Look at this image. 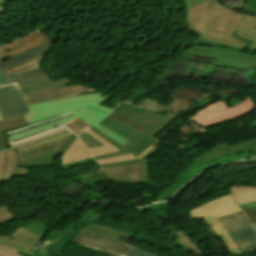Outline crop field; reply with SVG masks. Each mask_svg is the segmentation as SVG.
I'll return each instance as SVG.
<instances>
[{"mask_svg": "<svg viewBox=\"0 0 256 256\" xmlns=\"http://www.w3.org/2000/svg\"><path fill=\"white\" fill-rule=\"evenodd\" d=\"M184 23L197 35L194 44L244 51L249 45L232 35L245 14L226 8L215 0L184 9Z\"/></svg>", "mask_w": 256, "mask_h": 256, "instance_id": "8a807250", "label": "crop field"}, {"mask_svg": "<svg viewBox=\"0 0 256 256\" xmlns=\"http://www.w3.org/2000/svg\"><path fill=\"white\" fill-rule=\"evenodd\" d=\"M109 97L110 96L101 97V93L99 92L48 103L30 105L28 108L31 114L26 115L30 124L45 118L63 114L68 111L74 113L75 115L58 123L10 137L9 140L12 141L14 139L53 127L76 116L80 117L81 119L93 126L94 124L98 123L104 116H106L110 111H112V109L108 107H102L98 105Z\"/></svg>", "mask_w": 256, "mask_h": 256, "instance_id": "ac0d7876", "label": "crop field"}, {"mask_svg": "<svg viewBox=\"0 0 256 256\" xmlns=\"http://www.w3.org/2000/svg\"><path fill=\"white\" fill-rule=\"evenodd\" d=\"M240 211L232 194H226L210 200L189 211L192 218H203L206 220L215 232L222 238L232 256L241 254L229 235L217 221V217H221L233 212Z\"/></svg>", "mask_w": 256, "mask_h": 256, "instance_id": "34b2d1b8", "label": "crop field"}, {"mask_svg": "<svg viewBox=\"0 0 256 256\" xmlns=\"http://www.w3.org/2000/svg\"><path fill=\"white\" fill-rule=\"evenodd\" d=\"M102 217L94 210L90 209L84 213L78 220L67 225L60 232L57 230H49L46 237L42 241L45 244L41 248H37L32 256H58L64 246L72 240L85 227ZM30 255V256H31Z\"/></svg>", "mask_w": 256, "mask_h": 256, "instance_id": "412701ff", "label": "crop field"}, {"mask_svg": "<svg viewBox=\"0 0 256 256\" xmlns=\"http://www.w3.org/2000/svg\"><path fill=\"white\" fill-rule=\"evenodd\" d=\"M102 125L107 127L108 129L114 131L115 133L123 136L124 138L130 140L131 142L128 143L126 146H121L115 141L111 140L95 128H90L93 132H95L97 135H99L101 138L112 144L114 147L119 149L120 151L102 155V156H96L95 159H103V158H108V157H113V156H118V155H123V154H129L133 153L135 156L138 155L140 152H142L144 149L149 147L151 144H153L156 140L145 136L113 119H110L106 117L103 119L101 122Z\"/></svg>", "mask_w": 256, "mask_h": 256, "instance_id": "f4fd0767", "label": "crop field"}, {"mask_svg": "<svg viewBox=\"0 0 256 256\" xmlns=\"http://www.w3.org/2000/svg\"><path fill=\"white\" fill-rule=\"evenodd\" d=\"M187 54L216 60L213 65L217 67L242 69L247 71L256 68V56L233 49L193 46Z\"/></svg>", "mask_w": 256, "mask_h": 256, "instance_id": "dd49c442", "label": "crop field"}, {"mask_svg": "<svg viewBox=\"0 0 256 256\" xmlns=\"http://www.w3.org/2000/svg\"><path fill=\"white\" fill-rule=\"evenodd\" d=\"M254 102L251 96L245 101L229 108L222 100L209 105L198 112L191 119L203 125L204 127L228 122L244 114L251 112L254 108Z\"/></svg>", "mask_w": 256, "mask_h": 256, "instance_id": "e52e79f7", "label": "crop field"}, {"mask_svg": "<svg viewBox=\"0 0 256 256\" xmlns=\"http://www.w3.org/2000/svg\"><path fill=\"white\" fill-rule=\"evenodd\" d=\"M242 254L256 251V230L242 211L218 218Z\"/></svg>", "mask_w": 256, "mask_h": 256, "instance_id": "d8731c3e", "label": "crop field"}, {"mask_svg": "<svg viewBox=\"0 0 256 256\" xmlns=\"http://www.w3.org/2000/svg\"><path fill=\"white\" fill-rule=\"evenodd\" d=\"M251 151H256V139L234 146H229L226 142H224L215 148L212 147L210 148L209 152L194 159L192 164L175 179L174 183L171 185L170 188H174L177 185L179 179H181V177L186 175L194 167L200 164L212 162L224 156H231Z\"/></svg>", "mask_w": 256, "mask_h": 256, "instance_id": "5a996713", "label": "crop field"}, {"mask_svg": "<svg viewBox=\"0 0 256 256\" xmlns=\"http://www.w3.org/2000/svg\"><path fill=\"white\" fill-rule=\"evenodd\" d=\"M72 242L113 256H127L132 247L116 240L81 232Z\"/></svg>", "mask_w": 256, "mask_h": 256, "instance_id": "3316defc", "label": "crop field"}, {"mask_svg": "<svg viewBox=\"0 0 256 256\" xmlns=\"http://www.w3.org/2000/svg\"><path fill=\"white\" fill-rule=\"evenodd\" d=\"M0 113L3 119L29 113L15 84L0 88Z\"/></svg>", "mask_w": 256, "mask_h": 256, "instance_id": "28ad6ade", "label": "crop field"}, {"mask_svg": "<svg viewBox=\"0 0 256 256\" xmlns=\"http://www.w3.org/2000/svg\"><path fill=\"white\" fill-rule=\"evenodd\" d=\"M94 92L99 91L81 85H69L57 89L34 93L24 97L27 101V104L30 105Z\"/></svg>", "mask_w": 256, "mask_h": 256, "instance_id": "d1516ede", "label": "crop field"}, {"mask_svg": "<svg viewBox=\"0 0 256 256\" xmlns=\"http://www.w3.org/2000/svg\"><path fill=\"white\" fill-rule=\"evenodd\" d=\"M51 41L52 40H50L48 37L40 32L31 34L27 37H24L0 48V61L6 60L31 48L37 47L45 43H49Z\"/></svg>", "mask_w": 256, "mask_h": 256, "instance_id": "22f410ed", "label": "crop field"}, {"mask_svg": "<svg viewBox=\"0 0 256 256\" xmlns=\"http://www.w3.org/2000/svg\"><path fill=\"white\" fill-rule=\"evenodd\" d=\"M40 235L32 233L22 227L13 232L10 236H1L0 244L30 254L40 239Z\"/></svg>", "mask_w": 256, "mask_h": 256, "instance_id": "cbeb9de0", "label": "crop field"}, {"mask_svg": "<svg viewBox=\"0 0 256 256\" xmlns=\"http://www.w3.org/2000/svg\"><path fill=\"white\" fill-rule=\"evenodd\" d=\"M15 150L0 152V182L10 184L14 176L26 177L29 168H17Z\"/></svg>", "mask_w": 256, "mask_h": 256, "instance_id": "5142ce71", "label": "crop field"}, {"mask_svg": "<svg viewBox=\"0 0 256 256\" xmlns=\"http://www.w3.org/2000/svg\"><path fill=\"white\" fill-rule=\"evenodd\" d=\"M119 106L124 107L126 109H129L131 111L137 112L139 114H142L144 116H147L149 118H152V119L156 120L153 124H151V123H149L147 121H144V120H142L140 118H137V117H135V116H133L131 114H128V113H126L124 111H121V110H119L117 108H115L113 110V112H115V113H117L119 115H122V116H124V117H126L128 119H131V120H133V121H135L137 123H140V124L148 127L145 131H143V133H146V134L151 132L155 127H157L161 122H163L167 117H169V115H164V114H160V113H156V112H151L149 110H145V109H141L139 107L132 106V105H130L128 103H121V104H119Z\"/></svg>", "mask_w": 256, "mask_h": 256, "instance_id": "d9b57169", "label": "crop field"}, {"mask_svg": "<svg viewBox=\"0 0 256 256\" xmlns=\"http://www.w3.org/2000/svg\"><path fill=\"white\" fill-rule=\"evenodd\" d=\"M51 43L39 46V47L34 48V49H31V50H29V51H27V52H25V53H23L19 56H16L14 58H11V59H8L6 61L1 62L0 63V71L2 72L4 77L7 79L9 84L14 83V80L12 79V77L9 75V73L6 71L5 68H8V67L13 66L15 64H18L20 62H23L27 59H30L32 57H35L37 55H40L42 53L47 52L48 47Z\"/></svg>", "mask_w": 256, "mask_h": 256, "instance_id": "733c2abd", "label": "crop field"}, {"mask_svg": "<svg viewBox=\"0 0 256 256\" xmlns=\"http://www.w3.org/2000/svg\"><path fill=\"white\" fill-rule=\"evenodd\" d=\"M13 79L18 84L19 88L41 83L50 80L43 69L40 67L17 74Z\"/></svg>", "mask_w": 256, "mask_h": 256, "instance_id": "4a817a6b", "label": "crop field"}, {"mask_svg": "<svg viewBox=\"0 0 256 256\" xmlns=\"http://www.w3.org/2000/svg\"><path fill=\"white\" fill-rule=\"evenodd\" d=\"M88 157L92 156L90 155L87 146L81 140L76 138L60 159L62 160L61 164H65Z\"/></svg>", "mask_w": 256, "mask_h": 256, "instance_id": "bc2a9ffb", "label": "crop field"}, {"mask_svg": "<svg viewBox=\"0 0 256 256\" xmlns=\"http://www.w3.org/2000/svg\"><path fill=\"white\" fill-rule=\"evenodd\" d=\"M103 169L111 179L139 178V164L106 167Z\"/></svg>", "mask_w": 256, "mask_h": 256, "instance_id": "214f88e0", "label": "crop field"}, {"mask_svg": "<svg viewBox=\"0 0 256 256\" xmlns=\"http://www.w3.org/2000/svg\"><path fill=\"white\" fill-rule=\"evenodd\" d=\"M211 94H213V93L203 94L202 98L208 97ZM170 98L174 100L172 102V104L168 107L165 106V107L161 108L159 111L166 113L167 111H169V108H173V111L175 113H171V115H177V116L183 114V112H182L183 110L187 109L189 106H193V105L197 104V102H199V100H201V98L190 99V97L188 100H186V99L183 100L181 97L175 98L173 95Z\"/></svg>", "mask_w": 256, "mask_h": 256, "instance_id": "92a150f3", "label": "crop field"}, {"mask_svg": "<svg viewBox=\"0 0 256 256\" xmlns=\"http://www.w3.org/2000/svg\"><path fill=\"white\" fill-rule=\"evenodd\" d=\"M231 192L239 205L256 201V187H233Z\"/></svg>", "mask_w": 256, "mask_h": 256, "instance_id": "dafd665d", "label": "crop field"}, {"mask_svg": "<svg viewBox=\"0 0 256 256\" xmlns=\"http://www.w3.org/2000/svg\"><path fill=\"white\" fill-rule=\"evenodd\" d=\"M44 56H45V54H42L40 56H37L30 60H27L23 63H20L18 65L8 68L7 71L10 73L11 76H13L17 73L38 67V66H40L41 62L43 61Z\"/></svg>", "mask_w": 256, "mask_h": 256, "instance_id": "00972430", "label": "crop field"}, {"mask_svg": "<svg viewBox=\"0 0 256 256\" xmlns=\"http://www.w3.org/2000/svg\"><path fill=\"white\" fill-rule=\"evenodd\" d=\"M69 84H71V83L65 79L54 82V83H52V81H47V82H44V83H41L38 85L22 88L21 91H22L23 95H26V94H30V93H34V92H38V91H42V90H47V89H51V88H57V87L69 85Z\"/></svg>", "mask_w": 256, "mask_h": 256, "instance_id": "a9b5d70f", "label": "crop field"}, {"mask_svg": "<svg viewBox=\"0 0 256 256\" xmlns=\"http://www.w3.org/2000/svg\"><path fill=\"white\" fill-rule=\"evenodd\" d=\"M71 115H73V114L68 112L66 114H63V115H60V116H57V117H54V118L42 120L40 122L31 124V126H29V127L18 129V130H15V131H12V132H9V133H6V134H7V137H10V136H13V135H17V134H20V133H23V132H27V131H30V130H33V129H36V128H39V127H42V126H45V125H48V124H51V123L58 122V121L66 118V117L71 116Z\"/></svg>", "mask_w": 256, "mask_h": 256, "instance_id": "4177f3b9", "label": "crop field"}, {"mask_svg": "<svg viewBox=\"0 0 256 256\" xmlns=\"http://www.w3.org/2000/svg\"><path fill=\"white\" fill-rule=\"evenodd\" d=\"M65 141H66V139L56 141L53 143H49V144L39 146L36 148L19 151V152H17V155H18V157H21V156H26V155H30V154L45 152V151L58 150Z\"/></svg>", "mask_w": 256, "mask_h": 256, "instance_id": "730fd06b", "label": "crop field"}, {"mask_svg": "<svg viewBox=\"0 0 256 256\" xmlns=\"http://www.w3.org/2000/svg\"><path fill=\"white\" fill-rule=\"evenodd\" d=\"M28 122L24 115L8 118L0 121V131L10 130L15 127L27 125Z\"/></svg>", "mask_w": 256, "mask_h": 256, "instance_id": "eef30255", "label": "crop field"}, {"mask_svg": "<svg viewBox=\"0 0 256 256\" xmlns=\"http://www.w3.org/2000/svg\"><path fill=\"white\" fill-rule=\"evenodd\" d=\"M66 131H69V129L64 127V128H61V129L49 132L47 134L41 135L39 137L33 138L31 140H28V141H25V142H22V143H19V144H16V145H11L10 149H17V148H21V147H24V146H27V145H30V144H34V143H36L38 141H42V140H44L46 138L53 137V136H56L58 134H62L64 132H66Z\"/></svg>", "mask_w": 256, "mask_h": 256, "instance_id": "ae1a2a85", "label": "crop field"}, {"mask_svg": "<svg viewBox=\"0 0 256 256\" xmlns=\"http://www.w3.org/2000/svg\"><path fill=\"white\" fill-rule=\"evenodd\" d=\"M86 132L89 133L95 139H97L99 142H101L102 144L105 145V146L95 147V148L89 149L93 156L102 155V154L110 153V152H113V151H118L116 148H114L112 145H110L109 143L102 140L100 137H98L96 134H94L89 129Z\"/></svg>", "mask_w": 256, "mask_h": 256, "instance_id": "d3111659", "label": "crop field"}, {"mask_svg": "<svg viewBox=\"0 0 256 256\" xmlns=\"http://www.w3.org/2000/svg\"><path fill=\"white\" fill-rule=\"evenodd\" d=\"M63 125H67L76 135L85 131L89 127V124L81 120L80 118L76 117L72 120L62 123Z\"/></svg>", "mask_w": 256, "mask_h": 256, "instance_id": "750c4746", "label": "crop field"}, {"mask_svg": "<svg viewBox=\"0 0 256 256\" xmlns=\"http://www.w3.org/2000/svg\"><path fill=\"white\" fill-rule=\"evenodd\" d=\"M148 172H149V165H148V161H146L142 165H140V179L113 180V181L121 184L145 182L148 178Z\"/></svg>", "mask_w": 256, "mask_h": 256, "instance_id": "bd1437ed", "label": "crop field"}, {"mask_svg": "<svg viewBox=\"0 0 256 256\" xmlns=\"http://www.w3.org/2000/svg\"><path fill=\"white\" fill-rule=\"evenodd\" d=\"M160 144L161 143L156 145L153 149H151L148 153H146L144 156H142L138 160L134 159V160H128V161H124V162H120V163H114V164H102L100 166L105 167V166L128 165V164H136V163L142 164L144 161H146L148 158H150L159 149Z\"/></svg>", "mask_w": 256, "mask_h": 256, "instance_id": "1d83c4d3", "label": "crop field"}, {"mask_svg": "<svg viewBox=\"0 0 256 256\" xmlns=\"http://www.w3.org/2000/svg\"><path fill=\"white\" fill-rule=\"evenodd\" d=\"M239 29L256 34V17L247 14L239 26Z\"/></svg>", "mask_w": 256, "mask_h": 256, "instance_id": "120bbe31", "label": "crop field"}, {"mask_svg": "<svg viewBox=\"0 0 256 256\" xmlns=\"http://www.w3.org/2000/svg\"><path fill=\"white\" fill-rule=\"evenodd\" d=\"M56 151L52 152H46V153H40V154H35L27 157H21L18 158L19 162H32V161H39V160H47V159H52Z\"/></svg>", "mask_w": 256, "mask_h": 256, "instance_id": "d32e631a", "label": "crop field"}, {"mask_svg": "<svg viewBox=\"0 0 256 256\" xmlns=\"http://www.w3.org/2000/svg\"><path fill=\"white\" fill-rule=\"evenodd\" d=\"M94 127L123 146L126 145L128 142H130V141L124 139L123 137L115 134L114 132L108 130L107 128H105L104 126H102L99 123L97 125H95Z\"/></svg>", "mask_w": 256, "mask_h": 256, "instance_id": "5866460e", "label": "crop field"}, {"mask_svg": "<svg viewBox=\"0 0 256 256\" xmlns=\"http://www.w3.org/2000/svg\"><path fill=\"white\" fill-rule=\"evenodd\" d=\"M84 231H85V232H89V233H93V234H97V235H101V236H105V237H109V238H112V239L119 240V239H117V238L110 237V236H108V235L100 234V233H97V232L88 231V230H84ZM119 241H121V240H119ZM122 242H123V241H122ZM124 243H126V242H124ZM127 244H129V243H127ZM129 245H131V244H129ZM131 246H133V245H131ZM133 247H134V249L129 253L128 256H156V255H154V254H152V253H150V252L141 250V249H139V248H137V247H135V246H133Z\"/></svg>", "mask_w": 256, "mask_h": 256, "instance_id": "028f5c9d", "label": "crop field"}, {"mask_svg": "<svg viewBox=\"0 0 256 256\" xmlns=\"http://www.w3.org/2000/svg\"><path fill=\"white\" fill-rule=\"evenodd\" d=\"M235 36L251 41V45L247 48L249 50L256 51V35L249 34L247 32L237 29Z\"/></svg>", "mask_w": 256, "mask_h": 256, "instance_id": "e1f06a70", "label": "crop field"}, {"mask_svg": "<svg viewBox=\"0 0 256 256\" xmlns=\"http://www.w3.org/2000/svg\"><path fill=\"white\" fill-rule=\"evenodd\" d=\"M109 116H111V117H113V118H115V119H117V120H119V121H121V122H123V123H125V124H127V125H129V126H131L133 128H135V129H137V130H139L141 132L144 129H146V127H144V126H142L140 124H137V123H135V122H133L131 120H128V119H126V118H124L122 116H119V115H117V114H115L113 112L111 114H109Z\"/></svg>", "mask_w": 256, "mask_h": 256, "instance_id": "0bd39190", "label": "crop field"}, {"mask_svg": "<svg viewBox=\"0 0 256 256\" xmlns=\"http://www.w3.org/2000/svg\"><path fill=\"white\" fill-rule=\"evenodd\" d=\"M15 217L13 214L7 209L6 206H0V224L7 222V221H12L14 220Z\"/></svg>", "mask_w": 256, "mask_h": 256, "instance_id": "b80d0937", "label": "crop field"}, {"mask_svg": "<svg viewBox=\"0 0 256 256\" xmlns=\"http://www.w3.org/2000/svg\"><path fill=\"white\" fill-rule=\"evenodd\" d=\"M1 256H27V254L11 249L7 246L0 245Z\"/></svg>", "mask_w": 256, "mask_h": 256, "instance_id": "c035e120", "label": "crop field"}, {"mask_svg": "<svg viewBox=\"0 0 256 256\" xmlns=\"http://www.w3.org/2000/svg\"><path fill=\"white\" fill-rule=\"evenodd\" d=\"M71 133H72V132L69 131V132H67V133H65V134H63V135H59V136H57V137L44 140V141H42V142H38V143H36V144H34V145L27 146V147L18 149V150H16V151L24 150V149L32 148V147H35V146L43 145V144H46V143H49V142H53V141H56V140L64 139V138L69 137Z\"/></svg>", "mask_w": 256, "mask_h": 256, "instance_id": "c21b1889", "label": "crop field"}, {"mask_svg": "<svg viewBox=\"0 0 256 256\" xmlns=\"http://www.w3.org/2000/svg\"><path fill=\"white\" fill-rule=\"evenodd\" d=\"M133 158H136V157L133 154H130V155H124V156H118V157L98 160L97 162L99 164H102V163H114V162H120V161H124V160H128V159H133Z\"/></svg>", "mask_w": 256, "mask_h": 256, "instance_id": "03da06ac", "label": "crop field"}, {"mask_svg": "<svg viewBox=\"0 0 256 256\" xmlns=\"http://www.w3.org/2000/svg\"><path fill=\"white\" fill-rule=\"evenodd\" d=\"M177 117L170 116L167 118L163 123H161L157 128H155L149 135L154 137L157 133H159L167 124H169L172 120L176 119Z\"/></svg>", "mask_w": 256, "mask_h": 256, "instance_id": "b54c1fbb", "label": "crop field"}, {"mask_svg": "<svg viewBox=\"0 0 256 256\" xmlns=\"http://www.w3.org/2000/svg\"><path fill=\"white\" fill-rule=\"evenodd\" d=\"M244 213L252 224L256 223V207L244 210Z\"/></svg>", "mask_w": 256, "mask_h": 256, "instance_id": "5d738f31", "label": "crop field"}, {"mask_svg": "<svg viewBox=\"0 0 256 256\" xmlns=\"http://www.w3.org/2000/svg\"><path fill=\"white\" fill-rule=\"evenodd\" d=\"M8 146L9 144L5 132H0V150H6Z\"/></svg>", "mask_w": 256, "mask_h": 256, "instance_id": "d23c7cc5", "label": "crop field"}, {"mask_svg": "<svg viewBox=\"0 0 256 256\" xmlns=\"http://www.w3.org/2000/svg\"><path fill=\"white\" fill-rule=\"evenodd\" d=\"M243 10L256 14V0H248V3Z\"/></svg>", "mask_w": 256, "mask_h": 256, "instance_id": "425ffa30", "label": "crop field"}, {"mask_svg": "<svg viewBox=\"0 0 256 256\" xmlns=\"http://www.w3.org/2000/svg\"><path fill=\"white\" fill-rule=\"evenodd\" d=\"M89 161H94V160H93V158H88V159H84V160H81V161H77V162L61 165V169L62 168H66V167H71V166H77V165L85 164V163H88Z\"/></svg>", "mask_w": 256, "mask_h": 256, "instance_id": "25e5ab78", "label": "crop field"}, {"mask_svg": "<svg viewBox=\"0 0 256 256\" xmlns=\"http://www.w3.org/2000/svg\"><path fill=\"white\" fill-rule=\"evenodd\" d=\"M204 1L205 0H182V3H183V7H189V6L197 5V4L202 3ZM216 1H218V0H216Z\"/></svg>", "mask_w": 256, "mask_h": 256, "instance_id": "73cf0c24", "label": "crop field"}, {"mask_svg": "<svg viewBox=\"0 0 256 256\" xmlns=\"http://www.w3.org/2000/svg\"><path fill=\"white\" fill-rule=\"evenodd\" d=\"M88 230H93V231H97V232H101V233H105V234H108V235H110V236H114V237H117V238H121V236L120 235H117V234H115V233H112V232H108V231H105V230H102V229H98V228H94V227H88L87 228Z\"/></svg>", "mask_w": 256, "mask_h": 256, "instance_id": "89e229c0", "label": "crop field"}, {"mask_svg": "<svg viewBox=\"0 0 256 256\" xmlns=\"http://www.w3.org/2000/svg\"><path fill=\"white\" fill-rule=\"evenodd\" d=\"M77 136H75L74 134L72 135V137L65 143V145L61 148V150L59 152H57V154L59 153H64L67 148L71 145V143L73 142V140L76 138Z\"/></svg>", "mask_w": 256, "mask_h": 256, "instance_id": "1f2cbd36", "label": "crop field"}, {"mask_svg": "<svg viewBox=\"0 0 256 256\" xmlns=\"http://www.w3.org/2000/svg\"><path fill=\"white\" fill-rule=\"evenodd\" d=\"M117 108H119V109H121V110H124V111H126V112H128V113H131V114H133V115H135V116H137V117H140V118H142V119H144V120H147V121H149V122H151V123L154 122V120H152V119H149V118L144 117V116H142V115L136 114V113H134V112H131V111L126 110V109H124V108H121V107H119V106H118Z\"/></svg>", "mask_w": 256, "mask_h": 256, "instance_id": "dbb93151", "label": "crop field"}, {"mask_svg": "<svg viewBox=\"0 0 256 256\" xmlns=\"http://www.w3.org/2000/svg\"><path fill=\"white\" fill-rule=\"evenodd\" d=\"M78 137L81 138V139L88 145L89 148L96 146L93 142H91V141H90L86 136H84L83 134L79 135Z\"/></svg>", "mask_w": 256, "mask_h": 256, "instance_id": "0fb4a251", "label": "crop field"}, {"mask_svg": "<svg viewBox=\"0 0 256 256\" xmlns=\"http://www.w3.org/2000/svg\"><path fill=\"white\" fill-rule=\"evenodd\" d=\"M236 164H256V157H252L248 160H245V161H242V162H239V163H233V164H230V165H236Z\"/></svg>", "mask_w": 256, "mask_h": 256, "instance_id": "1d79db26", "label": "crop field"}, {"mask_svg": "<svg viewBox=\"0 0 256 256\" xmlns=\"http://www.w3.org/2000/svg\"><path fill=\"white\" fill-rule=\"evenodd\" d=\"M92 226L99 227V228H102V229H105V230H108V231L116 232V233L121 234V235H123V236H126V237H128V238H131V235L126 234V233H123V232L115 231V230L108 229V228L101 227V226H97V225H94V224H93Z\"/></svg>", "mask_w": 256, "mask_h": 256, "instance_id": "9d1cf04e", "label": "crop field"}, {"mask_svg": "<svg viewBox=\"0 0 256 256\" xmlns=\"http://www.w3.org/2000/svg\"><path fill=\"white\" fill-rule=\"evenodd\" d=\"M159 141L155 142L153 145H151L149 148H147L146 150H144L142 153H140L138 156H136L137 158H140L142 155H144L146 152H148L151 148H153L156 144H158Z\"/></svg>", "mask_w": 256, "mask_h": 256, "instance_id": "447ae74e", "label": "crop field"}, {"mask_svg": "<svg viewBox=\"0 0 256 256\" xmlns=\"http://www.w3.org/2000/svg\"><path fill=\"white\" fill-rule=\"evenodd\" d=\"M61 127H64V126H60V127H57V128L51 129V130H48V131L43 132V133H41V134L47 133V132H49V131H52V130H55V129H58V128H61ZM41 134H39V135H41ZM39 135H36V136H39ZM36 136H34V137H36ZM31 138H33V137H31ZM31 138H27V139H24V140H20V141H17V142H15V143H11V144H16V143H19V142H22V141H25V140H28V139H31Z\"/></svg>", "mask_w": 256, "mask_h": 256, "instance_id": "0765c3eb", "label": "crop field"}, {"mask_svg": "<svg viewBox=\"0 0 256 256\" xmlns=\"http://www.w3.org/2000/svg\"><path fill=\"white\" fill-rule=\"evenodd\" d=\"M8 85V82L6 79L3 77V75L0 72V86Z\"/></svg>", "mask_w": 256, "mask_h": 256, "instance_id": "db79e9e6", "label": "crop field"}, {"mask_svg": "<svg viewBox=\"0 0 256 256\" xmlns=\"http://www.w3.org/2000/svg\"><path fill=\"white\" fill-rule=\"evenodd\" d=\"M254 206H256V202H252V203H249V204H246V205H242L240 207L244 210V209L254 207Z\"/></svg>", "mask_w": 256, "mask_h": 256, "instance_id": "7b73153f", "label": "crop field"}, {"mask_svg": "<svg viewBox=\"0 0 256 256\" xmlns=\"http://www.w3.org/2000/svg\"><path fill=\"white\" fill-rule=\"evenodd\" d=\"M83 134H85L91 141H93L97 146H101L102 144L99 143L97 140H95L94 138H92L90 135H88L86 132H84Z\"/></svg>", "mask_w": 256, "mask_h": 256, "instance_id": "78b8030e", "label": "crop field"}, {"mask_svg": "<svg viewBox=\"0 0 256 256\" xmlns=\"http://www.w3.org/2000/svg\"><path fill=\"white\" fill-rule=\"evenodd\" d=\"M5 11H7V10L0 7V14L4 13Z\"/></svg>", "mask_w": 256, "mask_h": 256, "instance_id": "0f1d7ab4", "label": "crop field"}, {"mask_svg": "<svg viewBox=\"0 0 256 256\" xmlns=\"http://www.w3.org/2000/svg\"><path fill=\"white\" fill-rule=\"evenodd\" d=\"M7 1H11V0H0V5H1L3 2H7Z\"/></svg>", "mask_w": 256, "mask_h": 256, "instance_id": "e1d0b9f6", "label": "crop field"}, {"mask_svg": "<svg viewBox=\"0 0 256 256\" xmlns=\"http://www.w3.org/2000/svg\"><path fill=\"white\" fill-rule=\"evenodd\" d=\"M2 119L1 115H0V120Z\"/></svg>", "mask_w": 256, "mask_h": 256, "instance_id": "ae633e8c", "label": "crop field"}, {"mask_svg": "<svg viewBox=\"0 0 256 256\" xmlns=\"http://www.w3.org/2000/svg\"><path fill=\"white\" fill-rule=\"evenodd\" d=\"M254 226H255V228H256V224H255Z\"/></svg>", "mask_w": 256, "mask_h": 256, "instance_id": "d14b1444", "label": "crop field"}, {"mask_svg": "<svg viewBox=\"0 0 256 256\" xmlns=\"http://www.w3.org/2000/svg\"><path fill=\"white\" fill-rule=\"evenodd\" d=\"M254 128H256V126H253Z\"/></svg>", "mask_w": 256, "mask_h": 256, "instance_id": "c39391a2", "label": "crop field"}]
</instances>
